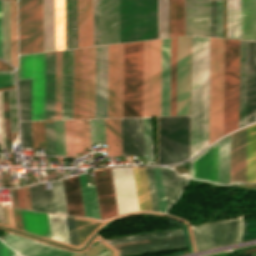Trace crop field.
I'll return each instance as SVG.
<instances>
[{"instance_id":"14","label":"crop field","mask_w":256,"mask_h":256,"mask_svg":"<svg viewBox=\"0 0 256 256\" xmlns=\"http://www.w3.org/2000/svg\"><path fill=\"white\" fill-rule=\"evenodd\" d=\"M100 45L119 43L118 0H99Z\"/></svg>"},{"instance_id":"19","label":"crop field","mask_w":256,"mask_h":256,"mask_svg":"<svg viewBox=\"0 0 256 256\" xmlns=\"http://www.w3.org/2000/svg\"><path fill=\"white\" fill-rule=\"evenodd\" d=\"M73 50L62 51V119H72Z\"/></svg>"},{"instance_id":"65","label":"crop field","mask_w":256,"mask_h":256,"mask_svg":"<svg viewBox=\"0 0 256 256\" xmlns=\"http://www.w3.org/2000/svg\"><path fill=\"white\" fill-rule=\"evenodd\" d=\"M0 144L5 146L2 92H0Z\"/></svg>"},{"instance_id":"48","label":"crop field","mask_w":256,"mask_h":256,"mask_svg":"<svg viewBox=\"0 0 256 256\" xmlns=\"http://www.w3.org/2000/svg\"><path fill=\"white\" fill-rule=\"evenodd\" d=\"M211 36L216 37V1L211 0ZM217 37H222V1H217Z\"/></svg>"},{"instance_id":"43","label":"crop field","mask_w":256,"mask_h":256,"mask_svg":"<svg viewBox=\"0 0 256 256\" xmlns=\"http://www.w3.org/2000/svg\"><path fill=\"white\" fill-rule=\"evenodd\" d=\"M80 49L74 50L73 119H79Z\"/></svg>"},{"instance_id":"12","label":"crop field","mask_w":256,"mask_h":256,"mask_svg":"<svg viewBox=\"0 0 256 256\" xmlns=\"http://www.w3.org/2000/svg\"><path fill=\"white\" fill-rule=\"evenodd\" d=\"M185 35L210 36V0H185Z\"/></svg>"},{"instance_id":"59","label":"crop field","mask_w":256,"mask_h":256,"mask_svg":"<svg viewBox=\"0 0 256 256\" xmlns=\"http://www.w3.org/2000/svg\"><path fill=\"white\" fill-rule=\"evenodd\" d=\"M153 171H154V177H155V184H156V190H157V196H158L159 209H160V212L165 213L166 207H165V201H164L160 171H159V169H154V168H153Z\"/></svg>"},{"instance_id":"60","label":"crop field","mask_w":256,"mask_h":256,"mask_svg":"<svg viewBox=\"0 0 256 256\" xmlns=\"http://www.w3.org/2000/svg\"><path fill=\"white\" fill-rule=\"evenodd\" d=\"M86 255L87 256H113L112 251H110L101 243L83 253H78L74 256H86Z\"/></svg>"},{"instance_id":"5","label":"crop field","mask_w":256,"mask_h":256,"mask_svg":"<svg viewBox=\"0 0 256 256\" xmlns=\"http://www.w3.org/2000/svg\"><path fill=\"white\" fill-rule=\"evenodd\" d=\"M19 54L43 51L42 0H18Z\"/></svg>"},{"instance_id":"7","label":"crop field","mask_w":256,"mask_h":256,"mask_svg":"<svg viewBox=\"0 0 256 256\" xmlns=\"http://www.w3.org/2000/svg\"><path fill=\"white\" fill-rule=\"evenodd\" d=\"M197 251L237 243L243 233V219H232L192 227ZM213 234V235H211Z\"/></svg>"},{"instance_id":"6","label":"crop field","mask_w":256,"mask_h":256,"mask_svg":"<svg viewBox=\"0 0 256 256\" xmlns=\"http://www.w3.org/2000/svg\"><path fill=\"white\" fill-rule=\"evenodd\" d=\"M45 53L19 56L18 79L31 78V120H44Z\"/></svg>"},{"instance_id":"55","label":"crop field","mask_w":256,"mask_h":256,"mask_svg":"<svg viewBox=\"0 0 256 256\" xmlns=\"http://www.w3.org/2000/svg\"><path fill=\"white\" fill-rule=\"evenodd\" d=\"M64 129H65L66 156H72L75 158L74 145H73L72 120L64 121Z\"/></svg>"},{"instance_id":"18","label":"crop field","mask_w":256,"mask_h":256,"mask_svg":"<svg viewBox=\"0 0 256 256\" xmlns=\"http://www.w3.org/2000/svg\"><path fill=\"white\" fill-rule=\"evenodd\" d=\"M161 40L151 41L150 116H160Z\"/></svg>"},{"instance_id":"39","label":"crop field","mask_w":256,"mask_h":256,"mask_svg":"<svg viewBox=\"0 0 256 256\" xmlns=\"http://www.w3.org/2000/svg\"><path fill=\"white\" fill-rule=\"evenodd\" d=\"M56 50L65 49L64 0H55Z\"/></svg>"},{"instance_id":"13","label":"crop field","mask_w":256,"mask_h":256,"mask_svg":"<svg viewBox=\"0 0 256 256\" xmlns=\"http://www.w3.org/2000/svg\"><path fill=\"white\" fill-rule=\"evenodd\" d=\"M108 46L96 47L95 118H107Z\"/></svg>"},{"instance_id":"62","label":"crop field","mask_w":256,"mask_h":256,"mask_svg":"<svg viewBox=\"0 0 256 256\" xmlns=\"http://www.w3.org/2000/svg\"><path fill=\"white\" fill-rule=\"evenodd\" d=\"M94 46L99 45L98 0H93Z\"/></svg>"},{"instance_id":"15","label":"crop field","mask_w":256,"mask_h":256,"mask_svg":"<svg viewBox=\"0 0 256 256\" xmlns=\"http://www.w3.org/2000/svg\"><path fill=\"white\" fill-rule=\"evenodd\" d=\"M100 217L118 215L110 169L93 172Z\"/></svg>"},{"instance_id":"50","label":"crop field","mask_w":256,"mask_h":256,"mask_svg":"<svg viewBox=\"0 0 256 256\" xmlns=\"http://www.w3.org/2000/svg\"><path fill=\"white\" fill-rule=\"evenodd\" d=\"M92 144L105 143L104 119L90 120Z\"/></svg>"},{"instance_id":"22","label":"crop field","mask_w":256,"mask_h":256,"mask_svg":"<svg viewBox=\"0 0 256 256\" xmlns=\"http://www.w3.org/2000/svg\"><path fill=\"white\" fill-rule=\"evenodd\" d=\"M241 39L256 40V0H241Z\"/></svg>"},{"instance_id":"41","label":"crop field","mask_w":256,"mask_h":256,"mask_svg":"<svg viewBox=\"0 0 256 256\" xmlns=\"http://www.w3.org/2000/svg\"><path fill=\"white\" fill-rule=\"evenodd\" d=\"M3 60L10 63L9 0H2Z\"/></svg>"},{"instance_id":"44","label":"crop field","mask_w":256,"mask_h":256,"mask_svg":"<svg viewBox=\"0 0 256 256\" xmlns=\"http://www.w3.org/2000/svg\"><path fill=\"white\" fill-rule=\"evenodd\" d=\"M95 47L89 48V118H94Z\"/></svg>"},{"instance_id":"29","label":"crop field","mask_w":256,"mask_h":256,"mask_svg":"<svg viewBox=\"0 0 256 256\" xmlns=\"http://www.w3.org/2000/svg\"><path fill=\"white\" fill-rule=\"evenodd\" d=\"M107 155L122 154L120 119H105Z\"/></svg>"},{"instance_id":"37","label":"crop field","mask_w":256,"mask_h":256,"mask_svg":"<svg viewBox=\"0 0 256 256\" xmlns=\"http://www.w3.org/2000/svg\"><path fill=\"white\" fill-rule=\"evenodd\" d=\"M22 256H72L76 253L50 247L41 243H34L27 248L17 252Z\"/></svg>"},{"instance_id":"26","label":"crop field","mask_w":256,"mask_h":256,"mask_svg":"<svg viewBox=\"0 0 256 256\" xmlns=\"http://www.w3.org/2000/svg\"><path fill=\"white\" fill-rule=\"evenodd\" d=\"M166 207H168L179 195L184 183L185 178L177 175L172 170L160 169Z\"/></svg>"},{"instance_id":"3","label":"crop field","mask_w":256,"mask_h":256,"mask_svg":"<svg viewBox=\"0 0 256 256\" xmlns=\"http://www.w3.org/2000/svg\"><path fill=\"white\" fill-rule=\"evenodd\" d=\"M142 116V42L124 44L123 117Z\"/></svg>"},{"instance_id":"53","label":"crop field","mask_w":256,"mask_h":256,"mask_svg":"<svg viewBox=\"0 0 256 256\" xmlns=\"http://www.w3.org/2000/svg\"><path fill=\"white\" fill-rule=\"evenodd\" d=\"M11 133L18 132L15 89L8 91Z\"/></svg>"},{"instance_id":"69","label":"crop field","mask_w":256,"mask_h":256,"mask_svg":"<svg viewBox=\"0 0 256 256\" xmlns=\"http://www.w3.org/2000/svg\"><path fill=\"white\" fill-rule=\"evenodd\" d=\"M239 186L246 187V188H251V189H256V184H253V185H239Z\"/></svg>"},{"instance_id":"45","label":"crop field","mask_w":256,"mask_h":256,"mask_svg":"<svg viewBox=\"0 0 256 256\" xmlns=\"http://www.w3.org/2000/svg\"><path fill=\"white\" fill-rule=\"evenodd\" d=\"M74 219L79 245L95 228H97L101 223H103L102 221H96L85 218L74 217Z\"/></svg>"},{"instance_id":"1","label":"crop field","mask_w":256,"mask_h":256,"mask_svg":"<svg viewBox=\"0 0 256 256\" xmlns=\"http://www.w3.org/2000/svg\"><path fill=\"white\" fill-rule=\"evenodd\" d=\"M224 39L192 37L191 156L223 135Z\"/></svg>"},{"instance_id":"17","label":"crop field","mask_w":256,"mask_h":256,"mask_svg":"<svg viewBox=\"0 0 256 256\" xmlns=\"http://www.w3.org/2000/svg\"><path fill=\"white\" fill-rule=\"evenodd\" d=\"M192 161L189 166L191 178ZM192 178L218 183V142L193 159Z\"/></svg>"},{"instance_id":"31","label":"crop field","mask_w":256,"mask_h":256,"mask_svg":"<svg viewBox=\"0 0 256 256\" xmlns=\"http://www.w3.org/2000/svg\"><path fill=\"white\" fill-rule=\"evenodd\" d=\"M29 188L32 210L55 213L51 190L42 191L41 183Z\"/></svg>"},{"instance_id":"27","label":"crop field","mask_w":256,"mask_h":256,"mask_svg":"<svg viewBox=\"0 0 256 256\" xmlns=\"http://www.w3.org/2000/svg\"><path fill=\"white\" fill-rule=\"evenodd\" d=\"M44 51L55 50L54 0H43Z\"/></svg>"},{"instance_id":"61","label":"crop field","mask_w":256,"mask_h":256,"mask_svg":"<svg viewBox=\"0 0 256 256\" xmlns=\"http://www.w3.org/2000/svg\"><path fill=\"white\" fill-rule=\"evenodd\" d=\"M153 211L159 212L152 168H146Z\"/></svg>"},{"instance_id":"56","label":"crop field","mask_w":256,"mask_h":256,"mask_svg":"<svg viewBox=\"0 0 256 256\" xmlns=\"http://www.w3.org/2000/svg\"><path fill=\"white\" fill-rule=\"evenodd\" d=\"M138 171L145 210L152 211L145 168H138Z\"/></svg>"},{"instance_id":"23","label":"crop field","mask_w":256,"mask_h":256,"mask_svg":"<svg viewBox=\"0 0 256 256\" xmlns=\"http://www.w3.org/2000/svg\"><path fill=\"white\" fill-rule=\"evenodd\" d=\"M63 181L68 215L84 216L78 176Z\"/></svg>"},{"instance_id":"68","label":"crop field","mask_w":256,"mask_h":256,"mask_svg":"<svg viewBox=\"0 0 256 256\" xmlns=\"http://www.w3.org/2000/svg\"><path fill=\"white\" fill-rule=\"evenodd\" d=\"M0 58L2 59L1 0H0Z\"/></svg>"},{"instance_id":"10","label":"crop field","mask_w":256,"mask_h":256,"mask_svg":"<svg viewBox=\"0 0 256 256\" xmlns=\"http://www.w3.org/2000/svg\"><path fill=\"white\" fill-rule=\"evenodd\" d=\"M111 171L119 215L139 210L132 168Z\"/></svg>"},{"instance_id":"40","label":"crop field","mask_w":256,"mask_h":256,"mask_svg":"<svg viewBox=\"0 0 256 256\" xmlns=\"http://www.w3.org/2000/svg\"><path fill=\"white\" fill-rule=\"evenodd\" d=\"M52 239L69 243L65 216L48 214Z\"/></svg>"},{"instance_id":"63","label":"crop field","mask_w":256,"mask_h":256,"mask_svg":"<svg viewBox=\"0 0 256 256\" xmlns=\"http://www.w3.org/2000/svg\"><path fill=\"white\" fill-rule=\"evenodd\" d=\"M15 85L14 71L0 72V88Z\"/></svg>"},{"instance_id":"70","label":"crop field","mask_w":256,"mask_h":256,"mask_svg":"<svg viewBox=\"0 0 256 256\" xmlns=\"http://www.w3.org/2000/svg\"><path fill=\"white\" fill-rule=\"evenodd\" d=\"M12 191H13V196H14V200H15V205H16V207L18 208V206H17V201H16V196H15V191H14V189H12Z\"/></svg>"},{"instance_id":"35","label":"crop field","mask_w":256,"mask_h":256,"mask_svg":"<svg viewBox=\"0 0 256 256\" xmlns=\"http://www.w3.org/2000/svg\"><path fill=\"white\" fill-rule=\"evenodd\" d=\"M246 41H240L239 128L245 125Z\"/></svg>"},{"instance_id":"34","label":"crop field","mask_w":256,"mask_h":256,"mask_svg":"<svg viewBox=\"0 0 256 256\" xmlns=\"http://www.w3.org/2000/svg\"><path fill=\"white\" fill-rule=\"evenodd\" d=\"M79 179L85 216L100 219L94 186H87L85 174Z\"/></svg>"},{"instance_id":"71","label":"crop field","mask_w":256,"mask_h":256,"mask_svg":"<svg viewBox=\"0 0 256 256\" xmlns=\"http://www.w3.org/2000/svg\"><path fill=\"white\" fill-rule=\"evenodd\" d=\"M17 256H20V255L17 254Z\"/></svg>"},{"instance_id":"42","label":"crop field","mask_w":256,"mask_h":256,"mask_svg":"<svg viewBox=\"0 0 256 256\" xmlns=\"http://www.w3.org/2000/svg\"><path fill=\"white\" fill-rule=\"evenodd\" d=\"M170 115H176V38L171 39Z\"/></svg>"},{"instance_id":"57","label":"crop field","mask_w":256,"mask_h":256,"mask_svg":"<svg viewBox=\"0 0 256 256\" xmlns=\"http://www.w3.org/2000/svg\"><path fill=\"white\" fill-rule=\"evenodd\" d=\"M144 127H145L146 164H153L149 118H144Z\"/></svg>"},{"instance_id":"8","label":"crop field","mask_w":256,"mask_h":256,"mask_svg":"<svg viewBox=\"0 0 256 256\" xmlns=\"http://www.w3.org/2000/svg\"><path fill=\"white\" fill-rule=\"evenodd\" d=\"M178 232L179 230L142 234V235L106 240V242L110 244H114V243H120V242H126V241L164 236L167 234L178 233ZM165 244H167V246H165ZM112 246H114L119 251L120 255H123V254H131V253L153 251V250H160V249H167V248L182 247L185 245L181 238V234L178 233V234H172L170 236L114 244Z\"/></svg>"},{"instance_id":"46","label":"crop field","mask_w":256,"mask_h":256,"mask_svg":"<svg viewBox=\"0 0 256 256\" xmlns=\"http://www.w3.org/2000/svg\"><path fill=\"white\" fill-rule=\"evenodd\" d=\"M10 31H11V64L16 68L17 60V28H16V1L10 0Z\"/></svg>"},{"instance_id":"20","label":"crop field","mask_w":256,"mask_h":256,"mask_svg":"<svg viewBox=\"0 0 256 256\" xmlns=\"http://www.w3.org/2000/svg\"><path fill=\"white\" fill-rule=\"evenodd\" d=\"M78 47L93 46L92 0H77Z\"/></svg>"},{"instance_id":"11","label":"crop field","mask_w":256,"mask_h":256,"mask_svg":"<svg viewBox=\"0 0 256 256\" xmlns=\"http://www.w3.org/2000/svg\"><path fill=\"white\" fill-rule=\"evenodd\" d=\"M169 37L184 35V0H168ZM167 0H158V38L168 37Z\"/></svg>"},{"instance_id":"54","label":"crop field","mask_w":256,"mask_h":256,"mask_svg":"<svg viewBox=\"0 0 256 256\" xmlns=\"http://www.w3.org/2000/svg\"><path fill=\"white\" fill-rule=\"evenodd\" d=\"M46 154H56L54 123H45Z\"/></svg>"},{"instance_id":"36","label":"crop field","mask_w":256,"mask_h":256,"mask_svg":"<svg viewBox=\"0 0 256 256\" xmlns=\"http://www.w3.org/2000/svg\"><path fill=\"white\" fill-rule=\"evenodd\" d=\"M150 41L143 42V116H149Z\"/></svg>"},{"instance_id":"21","label":"crop field","mask_w":256,"mask_h":256,"mask_svg":"<svg viewBox=\"0 0 256 256\" xmlns=\"http://www.w3.org/2000/svg\"><path fill=\"white\" fill-rule=\"evenodd\" d=\"M170 39L162 40L161 116L169 115Z\"/></svg>"},{"instance_id":"38","label":"crop field","mask_w":256,"mask_h":256,"mask_svg":"<svg viewBox=\"0 0 256 256\" xmlns=\"http://www.w3.org/2000/svg\"><path fill=\"white\" fill-rule=\"evenodd\" d=\"M219 183L229 184V135L219 140Z\"/></svg>"},{"instance_id":"66","label":"crop field","mask_w":256,"mask_h":256,"mask_svg":"<svg viewBox=\"0 0 256 256\" xmlns=\"http://www.w3.org/2000/svg\"><path fill=\"white\" fill-rule=\"evenodd\" d=\"M133 171H134L139 207H140V210H144L137 168H133Z\"/></svg>"},{"instance_id":"52","label":"crop field","mask_w":256,"mask_h":256,"mask_svg":"<svg viewBox=\"0 0 256 256\" xmlns=\"http://www.w3.org/2000/svg\"><path fill=\"white\" fill-rule=\"evenodd\" d=\"M75 152L85 149L83 120H73Z\"/></svg>"},{"instance_id":"47","label":"crop field","mask_w":256,"mask_h":256,"mask_svg":"<svg viewBox=\"0 0 256 256\" xmlns=\"http://www.w3.org/2000/svg\"><path fill=\"white\" fill-rule=\"evenodd\" d=\"M55 119H61V51L56 52Z\"/></svg>"},{"instance_id":"9","label":"crop field","mask_w":256,"mask_h":256,"mask_svg":"<svg viewBox=\"0 0 256 256\" xmlns=\"http://www.w3.org/2000/svg\"><path fill=\"white\" fill-rule=\"evenodd\" d=\"M123 44L109 46L108 118L122 117Z\"/></svg>"},{"instance_id":"16","label":"crop field","mask_w":256,"mask_h":256,"mask_svg":"<svg viewBox=\"0 0 256 256\" xmlns=\"http://www.w3.org/2000/svg\"><path fill=\"white\" fill-rule=\"evenodd\" d=\"M246 128L230 134V184L245 183Z\"/></svg>"},{"instance_id":"49","label":"crop field","mask_w":256,"mask_h":256,"mask_svg":"<svg viewBox=\"0 0 256 256\" xmlns=\"http://www.w3.org/2000/svg\"><path fill=\"white\" fill-rule=\"evenodd\" d=\"M51 185L56 213L67 215L61 179L51 182Z\"/></svg>"},{"instance_id":"51","label":"crop field","mask_w":256,"mask_h":256,"mask_svg":"<svg viewBox=\"0 0 256 256\" xmlns=\"http://www.w3.org/2000/svg\"><path fill=\"white\" fill-rule=\"evenodd\" d=\"M2 241L9 245L11 248H13L16 252L35 242L28 238L14 235L11 233Z\"/></svg>"},{"instance_id":"32","label":"crop field","mask_w":256,"mask_h":256,"mask_svg":"<svg viewBox=\"0 0 256 256\" xmlns=\"http://www.w3.org/2000/svg\"><path fill=\"white\" fill-rule=\"evenodd\" d=\"M88 118V48L81 49L80 119Z\"/></svg>"},{"instance_id":"30","label":"crop field","mask_w":256,"mask_h":256,"mask_svg":"<svg viewBox=\"0 0 256 256\" xmlns=\"http://www.w3.org/2000/svg\"><path fill=\"white\" fill-rule=\"evenodd\" d=\"M66 49L77 47L76 0H65Z\"/></svg>"},{"instance_id":"24","label":"crop field","mask_w":256,"mask_h":256,"mask_svg":"<svg viewBox=\"0 0 256 256\" xmlns=\"http://www.w3.org/2000/svg\"><path fill=\"white\" fill-rule=\"evenodd\" d=\"M21 213L25 231L51 239L47 214L25 210Z\"/></svg>"},{"instance_id":"25","label":"crop field","mask_w":256,"mask_h":256,"mask_svg":"<svg viewBox=\"0 0 256 256\" xmlns=\"http://www.w3.org/2000/svg\"><path fill=\"white\" fill-rule=\"evenodd\" d=\"M55 53L46 54L45 118H54Z\"/></svg>"},{"instance_id":"33","label":"crop field","mask_w":256,"mask_h":256,"mask_svg":"<svg viewBox=\"0 0 256 256\" xmlns=\"http://www.w3.org/2000/svg\"><path fill=\"white\" fill-rule=\"evenodd\" d=\"M227 38L240 39V0H226Z\"/></svg>"},{"instance_id":"58","label":"crop field","mask_w":256,"mask_h":256,"mask_svg":"<svg viewBox=\"0 0 256 256\" xmlns=\"http://www.w3.org/2000/svg\"><path fill=\"white\" fill-rule=\"evenodd\" d=\"M57 155H65L63 121H55Z\"/></svg>"},{"instance_id":"4","label":"crop field","mask_w":256,"mask_h":256,"mask_svg":"<svg viewBox=\"0 0 256 256\" xmlns=\"http://www.w3.org/2000/svg\"><path fill=\"white\" fill-rule=\"evenodd\" d=\"M239 41L225 39L224 135L238 128Z\"/></svg>"},{"instance_id":"28","label":"crop field","mask_w":256,"mask_h":256,"mask_svg":"<svg viewBox=\"0 0 256 256\" xmlns=\"http://www.w3.org/2000/svg\"><path fill=\"white\" fill-rule=\"evenodd\" d=\"M256 182V124L247 128L246 183Z\"/></svg>"},{"instance_id":"2","label":"crop field","mask_w":256,"mask_h":256,"mask_svg":"<svg viewBox=\"0 0 256 256\" xmlns=\"http://www.w3.org/2000/svg\"><path fill=\"white\" fill-rule=\"evenodd\" d=\"M120 43L157 38V0H119Z\"/></svg>"},{"instance_id":"67","label":"crop field","mask_w":256,"mask_h":256,"mask_svg":"<svg viewBox=\"0 0 256 256\" xmlns=\"http://www.w3.org/2000/svg\"><path fill=\"white\" fill-rule=\"evenodd\" d=\"M0 256H15V253L0 241Z\"/></svg>"},{"instance_id":"64","label":"crop field","mask_w":256,"mask_h":256,"mask_svg":"<svg viewBox=\"0 0 256 256\" xmlns=\"http://www.w3.org/2000/svg\"><path fill=\"white\" fill-rule=\"evenodd\" d=\"M66 218H67L70 242L71 244L78 246L73 217L66 216Z\"/></svg>"}]
</instances>
